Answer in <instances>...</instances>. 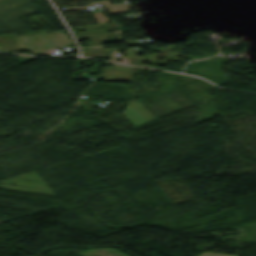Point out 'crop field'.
<instances>
[{"mask_svg": "<svg viewBox=\"0 0 256 256\" xmlns=\"http://www.w3.org/2000/svg\"><path fill=\"white\" fill-rule=\"evenodd\" d=\"M117 50H123L122 48H117V49H106L107 51V57H112L111 51H117Z\"/></svg>", "mask_w": 256, "mask_h": 256, "instance_id": "obj_4", "label": "crop field"}, {"mask_svg": "<svg viewBox=\"0 0 256 256\" xmlns=\"http://www.w3.org/2000/svg\"><path fill=\"white\" fill-rule=\"evenodd\" d=\"M101 76L106 81H131V67L114 64Z\"/></svg>", "mask_w": 256, "mask_h": 256, "instance_id": "obj_3", "label": "crop field"}, {"mask_svg": "<svg viewBox=\"0 0 256 256\" xmlns=\"http://www.w3.org/2000/svg\"><path fill=\"white\" fill-rule=\"evenodd\" d=\"M127 111L123 114L134 126L156 119L141 104L129 103Z\"/></svg>", "mask_w": 256, "mask_h": 256, "instance_id": "obj_2", "label": "crop field"}, {"mask_svg": "<svg viewBox=\"0 0 256 256\" xmlns=\"http://www.w3.org/2000/svg\"><path fill=\"white\" fill-rule=\"evenodd\" d=\"M140 53H143L142 49L128 51L127 56H128L129 61H124L123 63L144 66L141 64L144 63L145 60H149V63L154 64V65H161V64L166 63L165 61H169V60H165L167 58H170V60L175 61L171 52L148 54V55H146V58L136 56V54H140ZM161 57H166V58L157 59V58H161ZM157 60H161V61H157ZM145 67H149V66H145ZM151 68H154V67H151ZM157 69H159V68H157Z\"/></svg>", "mask_w": 256, "mask_h": 256, "instance_id": "obj_1", "label": "crop field"}, {"mask_svg": "<svg viewBox=\"0 0 256 256\" xmlns=\"http://www.w3.org/2000/svg\"><path fill=\"white\" fill-rule=\"evenodd\" d=\"M67 36V35H66ZM69 39V38H68ZM69 41H70V39H69ZM71 42V41H70ZM72 43V42H71ZM73 45V44H72Z\"/></svg>", "mask_w": 256, "mask_h": 256, "instance_id": "obj_5", "label": "crop field"}]
</instances>
